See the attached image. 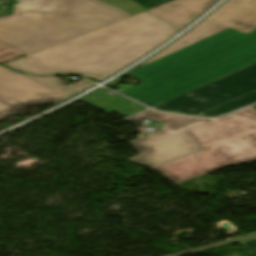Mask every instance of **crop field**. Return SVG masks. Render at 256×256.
Listing matches in <instances>:
<instances>
[{
  "mask_svg": "<svg viewBox=\"0 0 256 256\" xmlns=\"http://www.w3.org/2000/svg\"><path fill=\"white\" fill-rule=\"evenodd\" d=\"M177 31L145 11L5 65L31 74L91 76L101 81Z\"/></svg>",
  "mask_w": 256,
  "mask_h": 256,
  "instance_id": "crop-field-1",
  "label": "crop field"
},
{
  "mask_svg": "<svg viewBox=\"0 0 256 256\" xmlns=\"http://www.w3.org/2000/svg\"><path fill=\"white\" fill-rule=\"evenodd\" d=\"M99 1L104 2L117 9H120L124 12H127L131 15H134L146 10L145 8L141 7L140 5L136 4L131 0H99Z\"/></svg>",
  "mask_w": 256,
  "mask_h": 256,
  "instance_id": "crop-field-14",
  "label": "crop field"
},
{
  "mask_svg": "<svg viewBox=\"0 0 256 256\" xmlns=\"http://www.w3.org/2000/svg\"><path fill=\"white\" fill-rule=\"evenodd\" d=\"M185 131L202 149L213 147L233 164L256 160V110L251 107ZM217 151H199L154 169L177 183L229 164Z\"/></svg>",
  "mask_w": 256,
  "mask_h": 256,
  "instance_id": "crop-field-4",
  "label": "crop field"
},
{
  "mask_svg": "<svg viewBox=\"0 0 256 256\" xmlns=\"http://www.w3.org/2000/svg\"><path fill=\"white\" fill-rule=\"evenodd\" d=\"M245 34L256 28V0H228L195 28L142 65L170 54L226 28Z\"/></svg>",
  "mask_w": 256,
  "mask_h": 256,
  "instance_id": "crop-field-6",
  "label": "crop field"
},
{
  "mask_svg": "<svg viewBox=\"0 0 256 256\" xmlns=\"http://www.w3.org/2000/svg\"><path fill=\"white\" fill-rule=\"evenodd\" d=\"M15 13H16V15H14V16L21 15V14L18 13V12H15ZM14 16H10V17H14ZM7 18H9V17H7ZM7 18L0 19V22L3 21V20H5V19H7Z\"/></svg>",
  "mask_w": 256,
  "mask_h": 256,
  "instance_id": "crop-field-18",
  "label": "crop field"
},
{
  "mask_svg": "<svg viewBox=\"0 0 256 256\" xmlns=\"http://www.w3.org/2000/svg\"><path fill=\"white\" fill-rule=\"evenodd\" d=\"M253 63L256 29L245 35L228 28L126 74L142 83L121 92L155 107Z\"/></svg>",
  "mask_w": 256,
  "mask_h": 256,
  "instance_id": "crop-field-2",
  "label": "crop field"
},
{
  "mask_svg": "<svg viewBox=\"0 0 256 256\" xmlns=\"http://www.w3.org/2000/svg\"><path fill=\"white\" fill-rule=\"evenodd\" d=\"M255 102H256V91L248 95L242 96L240 98H237L235 100H232L230 102L219 105L210 110H207L201 114L207 115V116H218L227 112L234 111L236 109H239L241 107L247 106Z\"/></svg>",
  "mask_w": 256,
  "mask_h": 256,
  "instance_id": "crop-field-13",
  "label": "crop field"
},
{
  "mask_svg": "<svg viewBox=\"0 0 256 256\" xmlns=\"http://www.w3.org/2000/svg\"><path fill=\"white\" fill-rule=\"evenodd\" d=\"M255 90L256 64H253L156 108L198 114Z\"/></svg>",
  "mask_w": 256,
  "mask_h": 256,
  "instance_id": "crop-field-5",
  "label": "crop field"
},
{
  "mask_svg": "<svg viewBox=\"0 0 256 256\" xmlns=\"http://www.w3.org/2000/svg\"><path fill=\"white\" fill-rule=\"evenodd\" d=\"M249 249V254L246 256H256V239L242 243Z\"/></svg>",
  "mask_w": 256,
  "mask_h": 256,
  "instance_id": "crop-field-17",
  "label": "crop field"
},
{
  "mask_svg": "<svg viewBox=\"0 0 256 256\" xmlns=\"http://www.w3.org/2000/svg\"><path fill=\"white\" fill-rule=\"evenodd\" d=\"M0 23V44L31 54L131 15L97 0H20Z\"/></svg>",
  "mask_w": 256,
  "mask_h": 256,
  "instance_id": "crop-field-3",
  "label": "crop field"
},
{
  "mask_svg": "<svg viewBox=\"0 0 256 256\" xmlns=\"http://www.w3.org/2000/svg\"><path fill=\"white\" fill-rule=\"evenodd\" d=\"M22 56L24 55L0 45V63H7Z\"/></svg>",
  "mask_w": 256,
  "mask_h": 256,
  "instance_id": "crop-field-15",
  "label": "crop field"
},
{
  "mask_svg": "<svg viewBox=\"0 0 256 256\" xmlns=\"http://www.w3.org/2000/svg\"><path fill=\"white\" fill-rule=\"evenodd\" d=\"M196 126V125H195ZM193 127V126H192ZM189 128H191V127H189ZM186 129H188V128H186ZM164 130V129H163ZM184 130V129H183ZM182 131V130H181ZM180 132V131H179ZM177 133V132H176Z\"/></svg>",
  "mask_w": 256,
  "mask_h": 256,
  "instance_id": "crop-field-19",
  "label": "crop field"
},
{
  "mask_svg": "<svg viewBox=\"0 0 256 256\" xmlns=\"http://www.w3.org/2000/svg\"><path fill=\"white\" fill-rule=\"evenodd\" d=\"M150 118L165 123L167 126L164 129L170 132H176L183 128L204 122L209 119L191 118L178 115L163 114L157 111H145L134 117L127 119L128 121L138 122L143 119Z\"/></svg>",
  "mask_w": 256,
  "mask_h": 256,
  "instance_id": "crop-field-11",
  "label": "crop field"
},
{
  "mask_svg": "<svg viewBox=\"0 0 256 256\" xmlns=\"http://www.w3.org/2000/svg\"><path fill=\"white\" fill-rule=\"evenodd\" d=\"M106 90L108 89L101 87L80 101L89 103L107 113L114 111L124 117L133 115L146 108L129 99H122L118 94L112 96L106 93Z\"/></svg>",
  "mask_w": 256,
  "mask_h": 256,
  "instance_id": "crop-field-10",
  "label": "crop field"
},
{
  "mask_svg": "<svg viewBox=\"0 0 256 256\" xmlns=\"http://www.w3.org/2000/svg\"><path fill=\"white\" fill-rule=\"evenodd\" d=\"M68 96L0 66V119L32 105L59 103Z\"/></svg>",
  "mask_w": 256,
  "mask_h": 256,
  "instance_id": "crop-field-7",
  "label": "crop field"
},
{
  "mask_svg": "<svg viewBox=\"0 0 256 256\" xmlns=\"http://www.w3.org/2000/svg\"><path fill=\"white\" fill-rule=\"evenodd\" d=\"M235 256H238V255H235Z\"/></svg>",
  "mask_w": 256,
  "mask_h": 256,
  "instance_id": "crop-field-22",
  "label": "crop field"
},
{
  "mask_svg": "<svg viewBox=\"0 0 256 256\" xmlns=\"http://www.w3.org/2000/svg\"><path fill=\"white\" fill-rule=\"evenodd\" d=\"M146 136L147 138L144 136L131 142L140 153L139 156L130 159L131 161L152 167L199 151L184 131L178 134L159 131ZM145 148L153 151L147 153L143 150Z\"/></svg>",
  "mask_w": 256,
  "mask_h": 256,
  "instance_id": "crop-field-8",
  "label": "crop field"
},
{
  "mask_svg": "<svg viewBox=\"0 0 256 256\" xmlns=\"http://www.w3.org/2000/svg\"><path fill=\"white\" fill-rule=\"evenodd\" d=\"M256 109V106H253Z\"/></svg>",
  "mask_w": 256,
  "mask_h": 256,
  "instance_id": "crop-field-21",
  "label": "crop field"
},
{
  "mask_svg": "<svg viewBox=\"0 0 256 256\" xmlns=\"http://www.w3.org/2000/svg\"><path fill=\"white\" fill-rule=\"evenodd\" d=\"M206 150V149H205ZM224 157V156H223ZM225 158V157H224ZM225 159H227V158H225ZM228 160V159H227ZM229 161V160H228ZM230 162V161H229Z\"/></svg>",
  "mask_w": 256,
  "mask_h": 256,
  "instance_id": "crop-field-20",
  "label": "crop field"
},
{
  "mask_svg": "<svg viewBox=\"0 0 256 256\" xmlns=\"http://www.w3.org/2000/svg\"><path fill=\"white\" fill-rule=\"evenodd\" d=\"M215 1L217 0H174L147 11L181 29L211 7Z\"/></svg>",
  "mask_w": 256,
  "mask_h": 256,
  "instance_id": "crop-field-9",
  "label": "crop field"
},
{
  "mask_svg": "<svg viewBox=\"0 0 256 256\" xmlns=\"http://www.w3.org/2000/svg\"><path fill=\"white\" fill-rule=\"evenodd\" d=\"M32 80L38 81L42 84H45L59 92H62L68 96H72L80 91H82L84 88L94 85L93 83L82 79L78 81L76 84H69L67 86L62 85V81L55 78V77H39V76H30V75H24Z\"/></svg>",
  "mask_w": 256,
  "mask_h": 256,
  "instance_id": "crop-field-12",
  "label": "crop field"
},
{
  "mask_svg": "<svg viewBox=\"0 0 256 256\" xmlns=\"http://www.w3.org/2000/svg\"><path fill=\"white\" fill-rule=\"evenodd\" d=\"M133 1H135L136 3L140 4L141 6L147 9H150L158 5L170 2L172 0H133Z\"/></svg>",
  "mask_w": 256,
  "mask_h": 256,
  "instance_id": "crop-field-16",
  "label": "crop field"
}]
</instances>
